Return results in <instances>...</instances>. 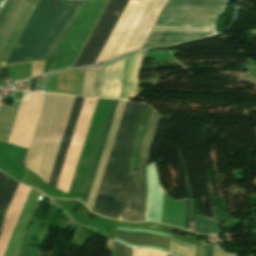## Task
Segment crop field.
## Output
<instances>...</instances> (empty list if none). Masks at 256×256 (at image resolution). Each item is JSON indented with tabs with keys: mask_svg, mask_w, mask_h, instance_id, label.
<instances>
[{
	"mask_svg": "<svg viewBox=\"0 0 256 256\" xmlns=\"http://www.w3.org/2000/svg\"><path fill=\"white\" fill-rule=\"evenodd\" d=\"M31 90L35 91V77L31 79Z\"/></svg>",
	"mask_w": 256,
	"mask_h": 256,
	"instance_id": "24",
	"label": "crop field"
},
{
	"mask_svg": "<svg viewBox=\"0 0 256 256\" xmlns=\"http://www.w3.org/2000/svg\"><path fill=\"white\" fill-rule=\"evenodd\" d=\"M141 55H142V52L131 54V58H130V55H127L120 99H124V95H125L129 58H130V66H129L125 99L130 100L132 98H135Z\"/></svg>",
	"mask_w": 256,
	"mask_h": 256,
	"instance_id": "14",
	"label": "crop field"
},
{
	"mask_svg": "<svg viewBox=\"0 0 256 256\" xmlns=\"http://www.w3.org/2000/svg\"><path fill=\"white\" fill-rule=\"evenodd\" d=\"M76 96L46 93L25 167L49 182Z\"/></svg>",
	"mask_w": 256,
	"mask_h": 256,
	"instance_id": "2",
	"label": "crop field"
},
{
	"mask_svg": "<svg viewBox=\"0 0 256 256\" xmlns=\"http://www.w3.org/2000/svg\"><path fill=\"white\" fill-rule=\"evenodd\" d=\"M136 103H132V102H128L126 103L122 118H121V122L110 152V156L103 174V178L96 196V200L93 206L92 211L96 212V213H101L103 204H104V200L113 176V172L122 148V144L131 120V116L134 110Z\"/></svg>",
	"mask_w": 256,
	"mask_h": 256,
	"instance_id": "10",
	"label": "crop field"
},
{
	"mask_svg": "<svg viewBox=\"0 0 256 256\" xmlns=\"http://www.w3.org/2000/svg\"><path fill=\"white\" fill-rule=\"evenodd\" d=\"M218 244L214 245L213 256H238V254H229L223 252L221 249L217 247Z\"/></svg>",
	"mask_w": 256,
	"mask_h": 256,
	"instance_id": "21",
	"label": "crop field"
},
{
	"mask_svg": "<svg viewBox=\"0 0 256 256\" xmlns=\"http://www.w3.org/2000/svg\"><path fill=\"white\" fill-rule=\"evenodd\" d=\"M2 2V0H0V3Z\"/></svg>",
	"mask_w": 256,
	"mask_h": 256,
	"instance_id": "25",
	"label": "crop field"
},
{
	"mask_svg": "<svg viewBox=\"0 0 256 256\" xmlns=\"http://www.w3.org/2000/svg\"><path fill=\"white\" fill-rule=\"evenodd\" d=\"M35 0H6L0 10V64L9 49L20 25L25 19L27 13L32 7ZM39 0H36L26 19L21 25L10 49L8 50L2 64L4 65L7 57L9 56L13 46L15 45L18 37L20 36L24 26L26 25L29 17L31 16L35 6Z\"/></svg>",
	"mask_w": 256,
	"mask_h": 256,
	"instance_id": "7",
	"label": "crop field"
},
{
	"mask_svg": "<svg viewBox=\"0 0 256 256\" xmlns=\"http://www.w3.org/2000/svg\"><path fill=\"white\" fill-rule=\"evenodd\" d=\"M170 253L177 256H193L194 246L171 237Z\"/></svg>",
	"mask_w": 256,
	"mask_h": 256,
	"instance_id": "19",
	"label": "crop field"
},
{
	"mask_svg": "<svg viewBox=\"0 0 256 256\" xmlns=\"http://www.w3.org/2000/svg\"><path fill=\"white\" fill-rule=\"evenodd\" d=\"M213 245H203L202 256H212Z\"/></svg>",
	"mask_w": 256,
	"mask_h": 256,
	"instance_id": "22",
	"label": "crop field"
},
{
	"mask_svg": "<svg viewBox=\"0 0 256 256\" xmlns=\"http://www.w3.org/2000/svg\"><path fill=\"white\" fill-rule=\"evenodd\" d=\"M18 182L0 172V217L10 202Z\"/></svg>",
	"mask_w": 256,
	"mask_h": 256,
	"instance_id": "17",
	"label": "crop field"
},
{
	"mask_svg": "<svg viewBox=\"0 0 256 256\" xmlns=\"http://www.w3.org/2000/svg\"><path fill=\"white\" fill-rule=\"evenodd\" d=\"M58 73L53 74L50 92H55Z\"/></svg>",
	"mask_w": 256,
	"mask_h": 256,
	"instance_id": "23",
	"label": "crop field"
},
{
	"mask_svg": "<svg viewBox=\"0 0 256 256\" xmlns=\"http://www.w3.org/2000/svg\"><path fill=\"white\" fill-rule=\"evenodd\" d=\"M118 0H110L108 6L106 7L103 15L101 16L98 24L96 25L93 33L91 34L89 40L87 41L84 49L82 50L79 58L77 59L74 67L84 65L88 55L90 54L94 44L96 43L101 31L103 30L107 20L109 19L113 9L115 8ZM128 0H119L116 8L114 9L110 19L108 20L103 32L101 33L97 43L95 44L91 54L89 55L85 65L95 63L99 53L101 52L105 42L107 41L111 31L113 30L117 20L119 19L123 9L125 8Z\"/></svg>",
	"mask_w": 256,
	"mask_h": 256,
	"instance_id": "9",
	"label": "crop field"
},
{
	"mask_svg": "<svg viewBox=\"0 0 256 256\" xmlns=\"http://www.w3.org/2000/svg\"><path fill=\"white\" fill-rule=\"evenodd\" d=\"M116 227L127 229V230H144V231L159 233V234H163V235L170 238L169 234L159 232V231H155V230H151L149 228H144V227L125 228V227L118 226V225ZM123 229L116 228V233H115L116 238H118L120 240H123L127 243L138 244V245H154V246H159L163 249L169 250L170 239L167 238V237H164V236L159 235V234L144 232V231H127V230H123ZM116 238L114 239L115 241L127 244V243H125L123 241H120ZM127 245L133 246V247H140V248H155V249H158V250L165 251V252L169 253V251L163 250L159 247L138 246V245H131V244H127Z\"/></svg>",
	"mask_w": 256,
	"mask_h": 256,
	"instance_id": "11",
	"label": "crop field"
},
{
	"mask_svg": "<svg viewBox=\"0 0 256 256\" xmlns=\"http://www.w3.org/2000/svg\"><path fill=\"white\" fill-rule=\"evenodd\" d=\"M159 117L160 116L152 110L140 146L137 170L136 173L130 176L120 215L123 216L122 220L144 221L146 198L145 166L148 165L149 162L153 140L160 122Z\"/></svg>",
	"mask_w": 256,
	"mask_h": 256,
	"instance_id": "4",
	"label": "crop field"
},
{
	"mask_svg": "<svg viewBox=\"0 0 256 256\" xmlns=\"http://www.w3.org/2000/svg\"><path fill=\"white\" fill-rule=\"evenodd\" d=\"M83 99L84 98H82V97L76 98V101H75V104H74V107L72 110V114L70 113L71 117H70L67 129H66V132H65V135L63 138V142H62V145H61V148H60V151H59V154H58L55 166H54V170H53L50 182H49V184H51L53 186H56V183L59 178L62 166L64 164L67 152L69 150V147H70V144L72 141V137L74 134V130L76 127V123H77L79 113L81 110V106L83 103Z\"/></svg>",
	"mask_w": 256,
	"mask_h": 256,
	"instance_id": "13",
	"label": "crop field"
},
{
	"mask_svg": "<svg viewBox=\"0 0 256 256\" xmlns=\"http://www.w3.org/2000/svg\"><path fill=\"white\" fill-rule=\"evenodd\" d=\"M57 1H39L8 61L26 59ZM83 2L84 0H59L27 59L16 62L53 59Z\"/></svg>",
	"mask_w": 256,
	"mask_h": 256,
	"instance_id": "1",
	"label": "crop field"
},
{
	"mask_svg": "<svg viewBox=\"0 0 256 256\" xmlns=\"http://www.w3.org/2000/svg\"><path fill=\"white\" fill-rule=\"evenodd\" d=\"M213 33V28L154 27L147 43H185Z\"/></svg>",
	"mask_w": 256,
	"mask_h": 256,
	"instance_id": "12",
	"label": "crop field"
},
{
	"mask_svg": "<svg viewBox=\"0 0 256 256\" xmlns=\"http://www.w3.org/2000/svg\"><path fill=\"white\" fill-rule=\"evenodd\" d=\"M194 231L200 232V233L217 234L218 232L217 220H210V219L196 216Z\"/></svg>",
	"mask_w": 256,
	"mask_h": 256,
	"instance_id": "18",
	"label": "crop field"
},
{
	"mask_svg": "<svg viewBox=\"0 0 256 256\" xmlns=\"http://www.w3.org/2000/svg\"><path fill=\"white\" fill-rule=\"evenodd\" d=\"M145 107V104H136L133 117L101 213L104 216L114 219L117 218L118 211L130 176L128 175V171L134 139L137 134L138 126L141 121Z\"/></svg>",
	"mask_w": 256,
	"mask_h": 256,
	"instance_id": "6",
	"label": "crop field"
},
{
	"mask_svg": "<svg viewBox=\"0 0 256 256\" xmlns=\"http://www.w3.org/2000/svg\"><path fill=\"white\" fill-rule=\"evenodd\" d=\"M117 102H118V100H114L112 107H111V111H110V114H109V117H108V120L106 123V127L104 130L102 139H101V143H100V146H99L96 158H95V162H94L91 174H90V178H89L86 190H85V194H84V197L82 200L84 203H86L88 195H89V191H90L93 179H94V175H95V172H96V169H97V166L99 163V159H100V156H101L104 144H105V140H106L109 128H110V124H111V121H112V118H113V115L115 112ZM125 102L126 101L119 100L117 108H116V112H115V115H114V118H113V121L111 124V128H110L107 140H106V144H105V147H104L101 159H100V163H99L96 175H95V179H94L91 191H90V195H89V198H88V201L86 204L90 210L92 208V205H93L96 193H97V189H98V186H99V183H100V180H101V177H102V174H103V171H104L107 159H108V155H109V152H110V149H111V146H112L115 134H116V130H117V127H118V124H119V121H120V118H121V115L123 112Z\"/></svg>",
	"mask_w": 256,
	"mask_h": 256,
	"instance_id": "8",
	"label": "crop field"
},
{
	"mask_svg": "<svg viewBox=\"0 0 256 256\" xmlns=\"http://www.w3.org/2000/svg\"><path fill=\"white\" fill-rule=\"evenodd\" d=\"M167 0H129L97 62L141 49Z\"/></svg>",
	"mask_w": 256,
	"mask_h": 256,
	"instance_id": "3",
	"label": "crop field"
},
{
	"mask_svg": "<svg viewBox=\"0 0 256 256\" xmlns=\"http://www.w3.org/2000/svg\"><path fill=\"white\" fill-rule=\"evenodd\" d=\"M225 5L226 0H169L156 26L213 27Z\"/></svg>",
	"mask_w": 256,
	"mask_h": 256,
	"instance_id": "5",
	"label": "crop field"
},
{
	"mask_svg": "<svg viewBox=\"0 0 256 256\" xmlns=\"http://www.w3.org/2000/svg\"><path fill=\"white\" fill-rule=\"evenodd\" d=\"M119 247H120V244L114 242L111 256H118ZM131 252H132V248L121 245L119 256H131Z\"/></svg>",
	"mask_w": 256,
	"mask_h": 256,
	"instance_id": "20",
	"label": "crop field"
},
{
	"mask_svg": "<svg viewBox=\"0 0 256 256\" xmlns=\"http://www.w3.org/2000/svg\"><path fill=\"white\" fill-rule=\"evenodd\" d=\"M167 256H170V255H167Z\"/></svg>",
	"mask_w": 256,
	"mask_h": 256,
	"instance_id": "26",
	"label": "crop field"
},
{
	"mask_svg": "<svg viewBox=\"0 0 256 256\" xmlns=\"http://www.w3.org/2000/svg\"><path fill=\"white\" fill-rule=\"evenodd\" d=\"M20 101L15 100L14 106H0V141L8 142Z\"/></svg>",
	"mask_w": 256,
	"mask_h": 256,
	"instance_id": "15",
	"label": "crop field"
},
{
	"mask_svg": "<svg viewBox=\"0 0 256 256\" xmlns=\"http://www.w3.org/2000/svg\"><path fill=\"white\" fill-rule=\"evenodd\" d=\"M102 67L103 64L86 68L82 95L98 97Z\"/></svg>",
	"mask_w": 256,
	"mask_h": 256,
	"instance_id": "16",
	"label": "crop field"
}]
</instances>
